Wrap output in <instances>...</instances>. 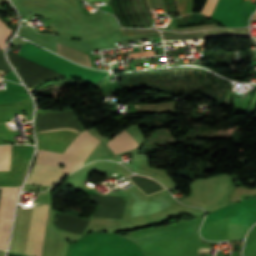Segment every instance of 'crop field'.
I'll return each mask as SVG.
<instances>
[{"mask_svg": "<svg viewBox=\"0 0 256 256\" xmlns=\"http://www.w3.org/2000/svg\"><path fill=\"white\" fill-rule=\"evenodd\" d=\"M11 145L0 146V170H9Z\"/></svg>", "mask_w": 256, "mask_h": 256, "instance_id": "8", "label": "crop field"}, {"mask_svg": "<svg viewBox=\"0 0 256 256\" xmlns=\"http://www.w3.org/2000/svg\"><path fill=\"white\" fill-rule=\"evenodd\" d=\"M10 30L1 20H0V49L4 48V45L11 34Z\"/></svg>", "mask_w": 256, "mask_h": 256, "instance_id": "9", "label": "crop field"}, {"mask_svg": "<svg viewBox=\"0 0 256 256\" xmlns=\"http://www.w3.org/2000/svg\"><path fill=\"white\" fill-rule=\"evenodd\" d=\"M88 1H93V0H88Z\"/></svg>", "mask_w": 256, "mask_h": 256, "instance_id": "12", "label": "crop field"}, {"mask_svg": "<svg viewBox=\"0 0 256 256\" xmlns=\"http://www.w3.org/2000/svg\"><path fill=\"white\" fill-rule=\"evenodd\" d=\"M106 145L113 151L114 155H116L135 148L137 143L125 131L122 130L110 138Z\"/></svg>", "mask_w": 256, "mask_h": 256, "instance_id": "5", "label": "crop field"}, {"mask_svg": "<svg viewBox=\"0 0 256 256\" xmlns=\"http://www.w3.org/2000/svg\"><path fill=\"white\" fill-rule=\"evenodd\" d=\"M196 225L182 227L177 229H171L166 231L154 232L149 234H143L138 236L126 237L127 239L136 243V245L147 244L152 242H158L178 237H184L189 235H194Z\"/></svg>", "mask_w": 256, "mask_h": 256, "instance_id": "3", "label": "crop field"}, {"mask_svg": "<svg viewBox=\"0 0 256 256\" xmlns=\"http://www.w3.org/2000/svg\"><path fill=\"white\" fill-rule=\"evenodd\" d=\"M50 205H34L25 254L42 256Z\"/></svg>", "mask_w": 256, "mask_h": 256, "instance_id": "2", "label": "crop field"}, {"mask_svg": "<svg viewBox=\"0 0 256 256\" xmlns=\"http://www.w3.org/2000/svg\"><path fill=\"white\" fill-rule=\"evenodd\" d=\"M99 141L86 130L83 131L63 154L37 150L36 163L58 165L64 163V168H59L63 173H70L81 166L88 154Z\"/></svg>", "mask_w": 256, "mask_h": 256, "instance_id": "1", "label": "crop field"}, {"mask_svg": "<svg viewBox=\"0 0 256 256\" xmlns=\"http://www.w3.org/2000/svg\"><path fill=\"white\" fill-rule=\"evenodd\" d=\"M4 3H7L6 0H0V4H4Z\"/></svg>", "mask_w": 256, "mask_h": 256, "instance_id": "11", "label": "crop field"}, {"mask_svg": "<svg viewBox=\"0 0 256 256\" xmlns=\"http://www.w3.org/2000/svg\"><path fill=\"white\" fill-rule=\"evenodd\" d=\"M57 53L77 63H81L84 65L93 67L90 57L88 55L78 52L76 50L70 49L58 43H57Z\"/></svg>", "mask_w": 256, "mask_h": 256, "instance_id": "7", "label": "crop field"}, {"mask_svg": "<svg viewBox=\"0 0 256 256\" xmlns=\"http://www.w3.org/2000/svg\"><path fill=\"white\" fill-rule=\"evenodd\" d=\"M18 190H19V188H17V187H12V189H11V194H10L6 218H5V222H4L2 237H1V241H0L1 249H5V247H6L7 237H8L11 219H12V215H13L14 201L16 200Z\"/></svg>", "mask_w": 256, "mask_h": 256, "instance_id": "6", "label": "crop field"}, {"mask_svg": "<svg viewBox=\"0 0 256 256\" xmlns=\"http://www.w3.org/2000/svg\"><path fill=\"white\" fill-rule=\"evenodd\" d=\"M63 176L58 166L35 164L26 183L51 186Z\"/></svg>", "mask_w": 256, "mask_h": 256, "instance_id": "4", "label": "crop field"}, {"mask_svg": "<svg viewBox=\"0 0 256 256\" xmlns=\"http://www.w3.org/2000/svg\"><path fill=\"white\" fill-rule=\"evenodd\" d=\"M251 21H256V13L253 14Z\"/></svg>", "mask_w": 256, "mask_h": 256, "instance_id": "10", "label": "crop field"}]
</instances>
